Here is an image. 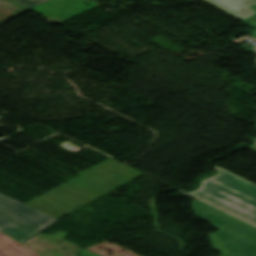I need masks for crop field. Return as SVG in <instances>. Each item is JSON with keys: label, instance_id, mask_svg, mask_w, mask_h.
<instances>
[{"label": "crop field", "instance_id": "obj_1", "mask_svg": "<svg viewBox=\"0 0 256 256\" xmlns=\"http://www.w3.org/2000/svg\"><path fill=\"white\" fill-rule=\"evenodd\" d=\"M144 174L111 160L26 203L52 217H61Z\"/></svg>", "mask_w": 256, "mask_h": 256}, {"label": "crop field", "instance_id": "obj_2", "mask_svg": "<svg viewBox=\"0 0 256 256\" xmlns=\"http://www.w3.org/2000/svg\"><path fill=\"white\" fill-rule=\"evenodd\" d=\"M215 169L216 175L201 181L190 194L256 225V185L221 168Z\"/></svg>", "mask_w": 256, "mask_h": 256}, {"label": "crop field", "instance_id": "obj_3", "mask_svg": "<svg viewBox=\"0 0 256 256\" xmlns=\"http://www.w3.org/2000/svg\"><path fill=\"white\" fill-rule=\"evenodd\" d=\"M56 220L0 194V229L22 244Z\"/></svg>", "mask_w": 256, "mask_h": 256}, {"label": "crop field", "instance_id": "obj_4", "mask_svg": "<svg viewBox=\"0 0 256 256\" xmlns=\"http://www.w3.org/2000/svg\"><path fill=\"white\" fill-rule=\"evenodd\" d=\"M219 228L208 235L214 248L223 252L220 256H256V227L227 213L211 220Z\"/></svg>", "mask_w": 256, "mask_h": 256}, {"label": "crop field", "instance_id": "obj_5", "mask_svg": "<svg viewBox=\"0 0 256 256\" xmlns=\"http://www.w3.org/2000/svg\"><path fill=\"white\" fill-rule=\"evenodd\" d=\"M223 12L239 19L246 20L254 15L256 11L251 5L256 4V0H203Z\"/></svg>", "mask_w": 256, "mask_h": 256}, {"label": "crop field", "instance_id": "obj_6", "mask_svg": "<svg viewBox=\"0 0 256 256\" xmlns=\"http://www.w3.org/2000/svg\"><path fill=\"white\" fill-rule=\"evenodd\" d=\"M191 206L195 208L194 213L198 214L200 217L210 220L224 212L198 200L190 203Z\"/></svg>", "mask_w": 256, "mask_h": 256}, {"label": "crop field", "instance_id": "obj_7", "mask_svg": "<svg viewBox=\"0 0 256 256\" xmlns=\"http://www.w3.org/2000/svg\"><path fill=\"white\" fill-rule=\"evenodd\" d=\"M13 1H15L29 9H32V8L42 4L44 2H47L49 0H13Z\"/></svg>", "mask_w": 256, "mask_h": 256}, {"label": "crop field", "instance_id": "obj_8", "mask_svg": "<svg viewBox=\"0 0 256 256\" xmlns=\"http://www.w3.org/2000/svg\"><path fill=\"white\" fill-rule=\"evenodd\" d=\"M248 23H249V24H252V25H254V26H256V18H253V19L249 20ZM252 35H253L254 37H256V27H255V29H254Z\"/></svg>", "mask_w": 256, "mask_h": 256}, {"label": "crop field", "instance_id": "obj_9", "mask_svg": "<svg viewBox=\"0 0 256 256\" xmlns=\"http://www.w3.org/2000/svg\"><path fill=\"white\" fill-rule=\"evenodd\" d=\"M254 141H255V144H253L252 146H250L248 148H250L256 152V139Z\"/></svg>", "mask_w": 256, "mask_h": 256}, {"label": "crop field", "instance_id": "obj_10", "mask_svg": "<svg viewBox=\"0 0 256 256\" xmlns=\"http://www.w3.org/2000/svg\"><path fill=\"white\" fill-rule=\"evenodd\" d=\"M252 50L256 52V46H252ZM254 62L256 63V59L254 60Z\"/></svg>", "mask_w": 256, "mask_h": 256}]
</instances>
